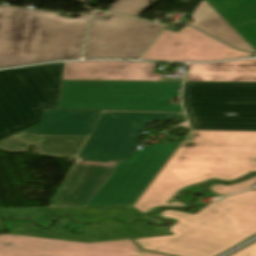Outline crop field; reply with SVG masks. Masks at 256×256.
Listing matches in <instances>:
<instances>
[{
    "label": "crop field",
    "instance_id": "14",
    "mask_svg": "<svg viewBox=\"0 0 256 256\" xmlns=\"http://www.w3.org/2000/svg\"><path fill=\"white\" fill-rule=\"evenodd\" d=\"M62 79L160 81L155 64L133 61L64 62Z\"/></svg>",
    "mask_w": 256,
    "mask_h": 256
},
{
    "label": "crop field",
    "instance_id": "18",
    "mask_svg": "<svg viewBox=\"0 0 256 256\" xmlns=\"http://www.w3.org/2000/svg\"><path fill=\"white\" fill-rule=\"evenodd\" d=\"M87 136H41L40 143L32 144L13 137L0 141V150L25 152L28 145H36L40 156L76 158Z\"/></svg>",
    "mask_w": 256,
    "mask_h": 256
},
{
    "label": "crop field",
    "instance_id": "20",
    "mask_svg": "<svg viewBox=\"0 0 256 256\" xmlns=\"http://www.w3.org/2000/svg\"><path fill=\"white\" fill-rule=\"evenodd\" d=\"M192 26L229 44L256 55L251 46L240 37L204 0L191 14Z\"/></svg>",
    "mask_w": 256,
    "mask_h": 256
},
{
    "label": "crop field",
    "instance_id": "2",
    "mask_svg": "<svg viewBox=\"0 0 256 256\" xmlns=\"http://www.w3.org/2000/svg\"><path fill=\"white\" fill-rule=\"evenodd\" d=\"M178 220L174 235L134 239L141 248L178 256H216L256 234V190L231 195L195 215L163 210L153 213Z\"/></svg>",
    "mask_w": 256,
    "mask_h": 256
},
{
    "label": "crop field",
    "instance_id": "23",
    "mask_svg": "<svg viewBox=\"0 0 256 256\" xmlns=\"http://www.w3.org/2000/svg\"><path fill=\"white\" fill-rule=\"evenodd\" d=\"M231 256H256V241Z\"/></svg>",
    "mask_w": 256,
    "mask_h": 256
},
{
    "label": "crop field",
    "instance_id": "13",
    "mask_svg": "<svg viewBox=\"0 0 256 256\" xmlns=\"http://www.w3.org/2000/svg\"><path fill=\"white\" fill-rule=\"evenodd\" d=\"M118 162L76 160L50 207L85 206Z\"/></svg>",
    "mask_w": 256,
    "mask_h": 256
},
{
    "label": "crop field",
    "instance_id": "10",
    "mask_svg": "<svg viewBox=\"0 0 256 256\" xmlns=\"http://www.w3.org/2000/svg\"><path fill=\"white\" fill-rule=\"evenodd\" d=\"M133 239L80 243L0 235V256H167L139 250Z\"/></svg>",
    "mask_w": 256,
    "mask_h": 256
},
{
    "label": "crop field",
    "instance_id": "12",
    "mask_svg": "<svg viewBox=\"0 0 256 256\" xmlns=\"http://www.w3.org/2000/svg\"><path fill=\"white\" fill-rule=\"evenodd\" d=\"M70 220L69 217L60 218L56 225L50 230H41L35 227L27 220H11L6 221L7 228L10 233L27 234L42 237L62 238L77 241H98L124 238H138L172 234L161 227L147 226L146 221H138L127 224L117 223L114 219H105L98 224L85 226L83 224L72 223L68 229L75 226V232L85 229L88 235H72L64 231L63 226Z\"/></svg>",
    "mask_w": 256,
    "mask_h": 256
},
{
    "label": "crop field",
    "instance_id": "7",
    "mask_svg": "<svg viewBox=\"0 0 256 256\" xmlns=\"http://www.w3.org/2000/svg\"><path fill=\"white\" fill-rule=\"evenodd\" d=\"M92 17L84 58L138 59L164 25L108 13Z\"/></svg>",
    "mask_w": 256,
    "mask_h": 256
},
{
    "label": "crop field",
    "instance_id": "6",
    "mask_svg": "<svg viewBox=\"0 0 256 256\" xmlns=\"http://www.w3.org/2000/svg\"><path fill=\"white\" fill-rule=\"evenodd\" d=\"M182 97L192 129L256 130V83L185 82Z\"/></svg>",
    "mask_w": 256,
    "mask_h": 256
},
{
    "label": "crop field",
    "instance_id": "11",
    "mask_svg": "<svg viewBox=\"0 0 256 256\" xmlns=\"http://www.w3.org/2000/svg\"><path fill=\"white\" fill-rule=\"evenodd\" d=\"M187 26L175 33L163 29L141 59L170 61H215L249 57Z\"/></svg>",
    "mask_w": 256,
    "mask_h": 256
},
{
    "label": "crop field",
    "instance_id": "5",
    "mask_svg": "<svg viewBox=\"0 0 256 256\" xmlns=\"http://www.w3.org/2000/svg\"><path fill=\"white\" fill-rule=\"evenodd\" d=\"M63 62L0 71V140L40 123L56 109Z\"/></svg>",
    "mask_w": 256,
    "mask_h": 256
},
{
    "label": "crop field",
    "instance_id": "21",
    "mask_svg": "<svg viewBox=\"0 0 256 256\" xmlns=\"http://www.w3.org/2000/svg\"><path fill=\"white\" fill-rule=\"evenodd\" d=\"M151 1L157 2L156 0H116L108 11L138 17Z\"/></svg>",
    "mask_w": 256,
    "mask_h": 256
},
{
    "label": "crop field",
    "instance_id": "3",
    "mask_svg": "<svg viewBox=\"0 0 256 256\" xmlns=\"http://www.w3.org/2000/svg\"><path fill=\"white\" fill-rule=\"evenodd\" d=\"M88 18L0 6V67L79 58Z\"/></svg>",
    "mask_w": 256,
    "mask_h": 256
},
{
    "label": "crop field",
    "instance_id": "19",
    "mask_svg": "<svg viewBox=\"0 0 256 256\" xmlns=\"http://www.w3.org/2000/svg\"><path fill=\"white\" fill-rule=\"evenodd\" d=\"M256 48V0H208Z\"/></svg>",
    "mask_w": 256,
    "mask_h": 256
},
{
    "label": "crop field",
    "instance_id": "8",
    "mask_svg": "<svg viewBox=\"0 0 256 256\" xmlns=\"http://www.w3.org/2000/svg\"><path fill=\"white\" fill-rule=\"evenodd\" d=\"M168 119L185 118L183 114L102 112L78 159L127 160L142 126Z\"/></svg>",
    "mask_w": 256,
    "mask_h": 256
},
{
    "label": "crop field",
    "instance_id": "1",
    "mask_svg": "<svg viewBox=\"0 0 256 256\" xmlns=\"http://www.w3.org/2000/svg\"><path fill=\"white\" fill-rule=\"evenodd\" d=\"M184 141L134 204L147 213L167 204L181 188L208 179L234 180L256 171V131L191 130Z\"/></svg>",
    "mask_w": 256,
    "mask_h": 256
},
{
    "label": "crop field",
    "instance_id": "16",
    "mask_svg": "<svg viewBox=\"0 0 256 256\" xmlns=\"http://www.w3.org/2000/svg\"><path fill=\"white\" fill-rule=\"evenodd\" d=\"M100 111L45 110L42 124L24 131L36 135H89Z\"/></svg>",
    "mask_w": 256,
    "mask_h": 256
},
{
    "label": "crop field",
    "instance_id": "4",
    "mask_svg": "<svg viewBox=\"0 0 256 256\" xmlns=\"http://www.w3.org/2000/svg\"><path fill=\"white\" fill-rule=\"evenodd\" d=\"M182 82L63 80L57 109L183 112L170 104Z\"/></svg>",
    "mask_w": 256,
    "mask_h": 256
},
{
    "label": "crop field",
    "instance_id": "15",
    "mask_svg": "<svg viewBox=\"0 0 256 256\" xmlns=\"http://www.w3.org/2000/svg\"><path fill=\"white\" fill-rule=\"evenodd\" d=\"M65 212L78 216L85 222L97 221L103 216L115 215L123 220L137 217L147 218L131 206L73 207V208H0V221L3 217H28L42 226H48L58 213ZM0 230L2 226L0 224Z\"/></svg>",
    "mask_w": 256,
    "mask_h": 256
},
{
    "label": "crop field",
    "instance_id": "22",
    "mask_svg": "<svg viewBox=\"0 0 256 256\" xmlns=\"http://www.w3.org/2000/svg\"><path fill=\"white\" fill-rule=\"evenodd\" d=\"M254 183H256V176H253L245 181L238 182L228 186L224 184H215L210 186V189L215 193L226 195L237 191L249 189L251 185Z\"/></svg>",
    "mask_w": 256,
    "mask_h": 256
},
{
    "label": "crop field",
    "instance_id": "17",
    "mask_svg": "<svg viewBox=\"0 0 256 256\" xmlns=\"http://www.w3.org/2000/svg\"><path fill=\"white\" fill-rule=\"evenodd\" d=\"M186 81L256 82V59L218 64H191Z\"/></svg>",
    "mask_w": 256,
    "mask_h": 256
},
{
    "label": "crop field",
    "instance_id": "9",
    "mask_svg": "<svg viewBox=\"0 0 256 256\" xmlns=\"http://www.w3.org/2000/svg\"><path fill=\"white\" fill-rule=\"evenodd\" d=\"M178 142L152 145L120 161L87 206L130 205L160 169Z\"/></svg>",
    "mask_w": 256,
    "mask_h": 256
}]
</instances>
